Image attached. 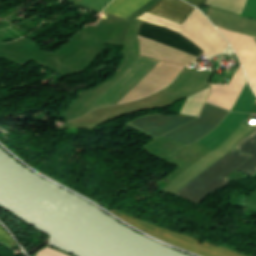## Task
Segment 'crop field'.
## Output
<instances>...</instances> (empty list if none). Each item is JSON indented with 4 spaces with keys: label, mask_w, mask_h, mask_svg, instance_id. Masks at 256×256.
<instances>
[{
    "label": "crop field",
    "mask_w": 256,
    "mask_h": 256,
    "mask_svg": "<svg viewBox=\"0 0 256 256\" xmlns=\"http://www.w3.org/2000/svg\"><path fill=\"white\" fill-rule=\"evenodd\" d=\"M0 240L3 242L13 246L15 245L13 241L9 238V236L5 233V231L0 227Z\"/></svg>",
    "instance_id": "crop-field-1"
}]
</instances>
